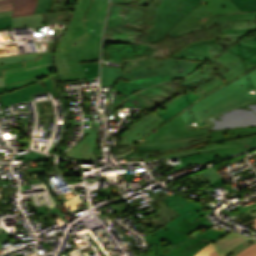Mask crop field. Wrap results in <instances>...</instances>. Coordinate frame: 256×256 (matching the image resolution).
<instances>
[{"label":"crop field","mask_w":256,"mask_h":256,"mask_svg":"<svg viewBox=\"0 0 256 256\" xmlns=\"http://www.w3.org/2000/svg\"><path fill=\"white\" fill-rule=\"evenodd\" d=\"M160 62L164 66L153 69H146L142 71L129 72L126 74H122L123 68L102 65L100 86H115L119 78L133 81L165 74H170L171 79L178 78L193 72L195 69L203 64L197 62H186L183 60H178L176 58H168Z\"/></svg>","instance_id":"e52e79f7"},{"label":"crop field","mask_w":256,"mask_h":256,"mask_svg":"<svg viewBox=\"0 0 256 256\" xmlns=\"http://www.w3.org/2000/svg\"><path fill=\"white\" fill-rule=\"evenodd\" d=\"M201 3L202 0H112L104 42L160 40Z\"/></svg>","instance_id":"ac0d7876"},{"label":"crop field","mask_w":256,"mask_h":256,"mask_svg":"<svg viewBox=\"0 0 256 256\" xmlns=\"http://www.w3.org/2000/svg\"><path fill=\"white\" fill-rule=\"evenodd\" d=\"M163 122H165V120L155 113L148 116L146 119L139 121L137 124L133 125L132 130L127 133L122 145L129 144V146H126L125 148L132 149L138 140L143 138L152 129L158 127ZM119 152L121 153L122 151Z\"/></svg>","instance_id":"cbeb9de0"},{"label":"crop field","mask_w":256,"mask_h":256,"mask_svg":"<svg viewBox=\"0 0 256 256\" xmlns=\"http://www.w3.org/2000/svg\"><path fill=\"white\" fill-rule=\"evenodd\" d=\"M36 81H39V79L35 78V79H32V80H28V81L8 84V85H6V87H0V93H4V91L14 90V89L19 88V87H24V86L29 85L31 83H34Z\"/></svg>","instance_id":"d32e631a"},{"label":"crop field","mask_w":256,"mask_h":256,"mask_svg":"<svg viewBox=\"0 0 256 256\" xmlns=\"http://www.w3.org/2000/svg\"><path fill=\"white\" fill-rule=\"evenodd\" d=\"M108 4L107 0H94L85 20L105 23Z\"/></svg>","instance_id":"92a150f3"},{"label":"crop field","mask_w":256,"mask_h":256,"mask_svg":"<svg viewBox=\"0 0 256 256\" xmlns=\"http://www.w3.org/2000/svg\"><path fill=\"white\" fill-rule=\"evenodd\" d=\"M184 81H186V80H184ZM177 82H180V80L174 81V83H177ZM182 85H184L183 88H186L188 86L187 82L184 84L182 83L181 86ZM188 89L185 90V91H187L186 94H183V95L175 98L173 101H171L170 103L167 104V106H166L167 111L163 112L158 109L155 111V113H157L158 115H160L163 119H165L167 121L168 119H170L173 116L180 113L182 110H184L186 107H188L195 100L201 98V97L197 96L195 93H193L192 91H188ZM189 97H191V99H189ZM179 106H181V107H179Z\"/></svg>","instance_id":"d9b57169"},{"label":"crop field","mask_w":256,"mask_h":256,"mask_svg":"<svg viewBox=\"0 0 256 256\" xmlns=\"http://www.w3.org/2000/svg\"><path fill=\"white\" fill-rule=\"evenodd\" d=\"M247 110H244L243 108ZM219 119L216 121V119ZM209 129L220 130L228 128H236L243 126L256 125V101L253 100L249 103L233 108L221 114L203 120ZM187 129H195L205 126H193L187 124Z\"/></svg>","instance_id":"3316defc"},{"label":"crop field","mask_w":256,"mask_h":256,"mask_svg":"<svg viewBox=\"0 0 256 256\" xmlns=\"http://www.w3.org/2000/svg\"><path fill=\"white\" fill-rule=\"evenodd\" d=\"M199 226L210 228L214 225L203 216L199 220H197L193 223H191L185 219L178 225L174 226L173 229H175L183 234L188 235L192 231H194L196 228H198Z\"/></svg>","instance_id":"a9b5d70f"},{"label":"crop field","mask_w":256,"mask_h":256,"mask_svg":"<svg viewBox=\"0 0 256 256\" xmlns=\"http://www.w3.org/2000/svg\"><path fill=\"white\" fill-rule=\"evenodd\" d=\"M12 6H13V3L0 5V12L10 11V10H12Z\"/></svg>","instance_id":"03da06ac"},{"label":"crop field","mask_w":256,"mask_h":256,"mask_svg":"<svg viewBox=\"0 0 256 256\" xmlns=\"http://www.w3.org/2000/svg\"><path fill=\"white\" fill-rule=\"evenodd\" d=\"M249 216H250L251 218L255 217V216H256V212L249 214Z\"/></svg>","instance_id":"d23c7cc5"},{"label":"crop field","mask_w":256,"mask_h":256,"mask_svg":"<svg viewBox=\"0 0 256 256\" xmlns=\"http://www.w3.org/2000/svg\"><path fill=\"white\" fill-rule=\"evenodd\" d=\"M209 133L211 138L201 139L191 141V144L200 143L204 141L210 140L211 142L225 140L235 137H241L251 134H256V127H248V128H240V129H232V130H223V131H213L208 132V129H200V130H190L186 131L180 116H177L167 123L163 124L159 128L153 130L147 137H145L142 141H156V140H172L185 138L195 135H201Z\"/></svg>","instance_id":"d8731c3e"},{"label":"crop field","mask_w":256,"mask_h":256,"mask_svg":"<svg viewBox=\"0 0 256 256\" xmlns=\"http://www.w3.org/2000/svg\"><path fill=\"white\" fill-rule=\"evenodd\" d=\"M85 23L86 32L102 36L105 24L88 21H85ZM91 29H93L94 31H92Z\"/></svg>","instance_id":"1d83c4d3"},{"label":"crop field","mask_w":256,"mask_h":256,"mask_svg":"<svg viewBox=\"0 0 256 256\" xmlns=\"http://www.w3.org/2000/svg\"><path fill=\"white\" fill-rule=\"evenodd\" d=\"M256 242V239H253L251 241H248L246 243H243L241 245H239L238 247H236L234 250L230 251V253L227 256H235L236 254H238L242 249L248 247L249 245L253 244Z\"/></svg>","instance_id":"e1f06a70"},{"label":"crop field","mask_w":256,"mask_h":256,"mask_svg":"<svg viewBox=\"0 0 256 256\" xmlns=\"http://www.w3.org/2000/svg\"><path fill=\"white\" fill-rule=\"evenodd\" d=\"M241 12L256 10V0H231Z\"/></svg>","instance_id":"750c4746"},{"label":"crop field","mask_w":256,"mask_h":256,"mask_svg":"<svg viewBox=\"0 0 256 256\" xmlns=\"http://www.w3.org/2000/svg\"><path fill=\"white\" fill-rule=\"evenodd\" d=\"M189 200H186L183 196H179L177 194L170 195L163 203L170 206L172 209L177 211L179 208L188 203Z\"/></svg>","instance_id":"d3111659"},{"label":"crop field","mask_w":256,"mask_h":256,"mask_svg":"<svg viewBox=\"0 0 256 256\" xmlns=\"http://www.w3.org/2000/svg\"><path fill=\"white\" fill-rule=\"evenodd\" d=\"M254 223V224H252ZM249 227L253 228V229H256V219L253 220V221H250L248 223H246Z\"/></svg>","instance_id":"5d738f31"},{"label":"crop field","mask_w":256,"mask_h":256,"mask_svg":"<svg viewBox=\"0 0 256 256\" xmlns=\"http://www.w3.org/2000/svg\"><path fill=\"white\" fill-rule=\"evenodd\" d=\"M135 64L133 65L132 63ZM134 62H127L124 65V70L123 73L129 72V71H136V70H142L146 68H152V67H158L162 66L158 60L155 58H149L145 60H139V61H134Z\"/></svg>","instance_id":"730fd06b"},{"label":"crop field","mask_w":256,"mask_h":256,"mask_svg":"<svg viewBox=\"0 0 256 256\" xmlns=\"http://www.w3.org/2000/svg\"><path fill=\"white\" fill-rule=\"evenodd\" d=\"M24 66L23 62L0 64V77H3L2 70Z\"/></svg>","instance_id":"b80d0937"},{"label":"crop field","mask_w":256,"mask_h":256,"mask_svg":"<svg viewBox=\"0 0 256 256\" xmlns=\"http://www.w3.org/2000/svg\"><path fill=\"white\" fill-rule=\"evenodd\" d=\"M216 185L224 186L228 191L226 194L233 192V190L227 185V183L222 178L219 179L218 181L214 182L213 184H211V186H213V187H215Z\"/></svg>","instance_id":"c21b1889"},{"label":"crop field","mask_w":256,"mask_h":256,"mask_svg":"<svg viewBox=\"0 0 256 256\" xmlns=\"http://www.w3.org/2000/svg\"><path fill=\"white\" fill-rule=\"evenodd\" d=\"M0 241H8V233L0 234Z\"/></svg>","instance_id":"b54c1fbb"},{"label":"crop field","mask_w":256,"mask_h":256,"mask_svg":"<svg viewBox=\"0 0 256 256\" xmlns=\"http://www.w3.org/2000/svg\"><path fill=\"white\" fill-rule=\"evenodd\" d=\"M93 0H78L70 24L85 26L84 18Z\"/></svg>","instance_id":"00972430"},{"label":"crop field","mask_w":256,"mask_h":256,"mask_svg":"<svg viewBox=\"0 0 256 256\" xmlns=\"http://www.w3.org/2000/svg\"><path fill=\"white\" fill-rule=\"evenodd\" d=\"M250 239L252 238H246L242 235L231 232L228 235H226L224 238H222L221 240L213 244L216 247L219 256H225L229 253L231 249L235 248L239 244L246 242Z\"/></svg>","instance_id":"bc2a9ffb"},{"label":"crop field","mask_w":256,"mask_h":256,"mask_svg":"<svg viewBox=\"0 0 256 256\" xmlns=\"http://www.w3.org/2000/svg\"><path fill=\"white\" fill-rule=\"evenodd\" d=\"M14 2L12 17L33 14L37 6V0H0V4Z\"/></svg>","instance_id":"dafd665d"},{"label":"crop field","mask_w":256,"mask_h":256,"mask_svg":"<svg viewBox=\"0 0 256 256\" xmlns=\"http://www.w3.org/2000/svg\"><path fill=\"white\" fill-rule=\"evenodd\" d=\"M209 256H218L217 252L214 251ZM236 256H256V243L249 246L248 248L242 250L238 255Z\"/></svg>","instance_id":"028f5c9d"},{"label":"crop field","mask_w":256,"mask_h":256,"mask_svg":"<svg viewBox=\"0 0 256 256\" xmlns=\"http://www.w3.org/2000/svg\"><path fill=\"white\" fill-rule=\"evenodd\" d=\"M211 231H213V230H212V229L207 230L206 232H204L203 234H201L200 236H198L197 238H195L193 241H191V242L185 244L184 246L178 248L177 250H175V251L169 253V255L171 256V255L175 254V253L178 252L179 250H181V249L185 248L186 246L190 245L191 243L197 241L198 239L202 238L203 236H205L206 234L210 233Z\"/></svg>","instance_id":"c035e120"},{"label":"crop field","mask_w":256,"mask_h":256,"mask_svg":"<svg viewBox=\"0 0 256 256\" xmlns=\"http://www.w3.org/2000/svg\"><path fill=\"white\" fill-rule=\"evenodd\" d=\"M209 137L208 134L172 141L141 142L138 151L158 150L151 155L175 158L185 155L215 151L219 159L256 146V135L214 142L210 146L189 144L190 140Z\"/></svg>","instance_id":"f4fd0767"},{"label":"crop field","mask_w":256,"mask_h":256,"mask_svg":"<svg viewBox=\"0 0 256 256\" xmlns=\"http://www.w3.org/2000/svg\"><path fill=\"white\" fill-rule=\"evenodd\" d=\"M87 78L98 77L99 63L81 64Z\"/></svg>","instance_id":"bd1437ed"},{"label":"crop field","mask_w":256,"mask_h":256,"mask_svg":"<svg viewBox=\"0 0 256 256\" xmlns=\"http://www.w3.org/2000/svg\"><path fill=\"white\" fill-rule=\"evenodd\" d=\"M114 90L122 94L115 97L113 108L143 106L155 109L180 93L169 75L133 82L119 79Z\"/></svg>","instance_id":"412701ff"},{"label":"crop field","mask_w":256,"mask_h":256,"mask_svg":"<svg viewBox=\"0 0 256 256\" xmlns=\"http://www.w3.org/2000/svg\"><path fill=\"white\" fill-rule=\"evenodd\" d=\"M209 212H211V211L208 210L207 208H205L204 206H202L201 204H199L198 202L192 200L187 205H185L184 207H182L181 209H179L177 211V213H179L181 216L170 221L168 224H166V226L171 228L174 225H176L177 223L184 220L185 218L192 222V221L200 218L202 215H205Z\"/></svg>","instance_id":"4a817a6b"},{"label":"crop field","mask_w":256,"mask_h":256,"mask_svg":"<svg viewBox=\"0 0 256 256\" xmlns=\"http://www.w3.org/2000/svg\"><path fill=\"white\" fill-rule=\"evenodd\" d=\"M137 50H142V52H146V51L147 52H149V51L152 52L151 49L146 48L145 45H141V44L137 45V46L136 45H131L130 47H128V46H119V47H115L113 50H110L109 52H110L111 56L116 57L115 61L124 62L126 59H128V56H130V55H128L129 52L137 51ZM152 53H154L155 55L170 54L169 51L164 52L162 50V48H161V51H156V52H152ZM104 54H105V52H103V59L106 60L105 57H104Z\"/></svg>","instance_id":"214f88e0"},{"label":"crop field","mask_w":256,"mask_h":256,"mask_svg":"<svg viewBox=\"0 0 256 256\" xmlns=\"http://www.w3.org/2000/svg\"><path fill=\"white\" fill-rule=\"evenodd\" d=\"M182 162L183 166L186 165H192L197 163H209L215 160H218V157L216 156L215 152L213 154L201 156L200 154L197 155H191V156H185L179 158Z\"/></svg>","instance_id":"ae1a2a85"},{"label":"crop field","mask_w":256,"mask_h":256,"mask_svg":"<svg viewBox=\"0 0 256 256\" xmlns=\"http://www.w3.org/2000/svg\"><path fill=\"white\" fill-rule=\"evenodd\" d=\"M96 131L90 133L80 143L72 147L66 154L65 157H70L78 160L94 161L95 154L93 149L96 146Z\"/></svg>","instance_id":"733c2abd"},{"label":"crop field","mask_w":256,"mask_h":256,"mask_svg":"<svg viewBox=\"0 0 256 256\" xmlns=\"http://www.w3.org/2000/svg\"><path fill=\"white\" fill-rule=\"evenodd\" d=\"M253 87L256 88V69L238 81L210 94L180 115L185 124L198 120V125H205L202 119L256 97L254 94L246 93Z\"/></svg>","instance_id":"dd49c442"},{"label":"crop field","mask_w":256,"mask_h":256,"mask_svg":"<svg viewBox=\"0 0 256 256\" xmlns=\"http://www.w3.org/2000/svg\"><path fill=\"white\" fill-rule=\"evenodd\" d=\"M52 1L53 0H38V6L35 14L48 12L52 6Z\"/></svg>","instance_id":"5866460e"},{"label":"crop field","mask_w":256,"mask_h":256,"mask_svg":"<svg viewBox=\"0 0 256 256\" xmlns=\"http://www.w3.org/2000/svg\"><path fill=\"white\" fill-rule=\"evenodd\" d=\"M43 17L42 14L27 15L21 17L12 18V27L19 26H42Z\"/></svg>","instance_id":"eef30255"},{"label":"crop field","mask_w":256,"mask_h":256,"mask_svg":"<svg viewBox=\"0 0 256 256\" xmlns=\"http://www.w3.org/2000/svg\"><path fill=\"white\" fill-rule=\"evenodd\" d=\"M224 231L215 230L208 234L207 236L203 237L202 239L198 240L197 242L191 244L190 246L186 247L185 249L179 251L173 256H193L197 253L203 246L211 243L216 238L221 236ZM192 239L178 245L177 247L173 248L172 250L162 254V245H147V256H169L168 253L177 249L178 247L184 245L185 243L191 241Z\"/></svg>","instance_id":"22f410ed"},{"label":"crop field","mask_w":256,"mask_h":256,"mask_svg":"<svg viewBox=\"0 0 256 256\" xmlns=\"http://www.w3.org/2000/svg\"><path fill=\"white\" fill-rule=\"evenodd\" d=\"M53 53L40 55H26L0 58V63L24 61L25 67L3 71L4 78H0V86L5 84L32 79L56 71L53 65Z\"/></svg>","instance_id":"5a996713"},{"label":"crop field","mask_w":256,"mask_h":256,"mask_svg":"<svg viewBox=\"0 0 256 256\" xmlns=\"http://www.w3.org/2000/svg\"><path fill=\"white\" fill-rule=\"evenodd\" d=\"M215 249L213 244H209L208 246L203 247L201 251H199L197 254L194 256H208L210 253H212Z\"/></svg>","instance_id":"0bd39190"},{"label":"crop field","mask_w":256,"mask_h":256,"mask_svg":"<svg viewBox=\"0 0 256 256\" xmlns=\"http://www.w3.org/2000/svg\"><path fill=\"white\" fill-rule=\"evenodd\" d=\"M145 238L148 244H163V253L189 239L186 235L165 226L145 236Z\"/></svg>","instance_id":"5142ce71"},{"label":"crop field","mask_w":256,"mask_h":256,"mask_svg":"<svg viewBox=\"0 0 256 256\" xmlns=\"http://www.w3.org/2000/svg\"><path fill=\"white\" fill-rule=\"evenodd\" d=\"M205 3L198 6L193 12L187 15L174 29L170 32L183 30L202 16L209 13V15L240 13V10L230 0H203ZM169 33V34H170Z\"/></svg>","instance_id":"28ad6ade"},{"label":"crop field","mask_w":256,"mask_h":256,"mask_svg":"<svg viewBox=\"0 0 256 256\" xmlns=\"http://www.w3.org/2000/svg\"><path fill=\"white\" fill-rule=\"evenodd\" d=\"M102 37L85 33V27L68 24L54 55L61 81L86 78L79 61L99 60Z\"/></svg>","instance_id":"34b2d1b8"},{"label":"crop field","mask_w":256,"mask_h":256,"mask_svg":"<svg viewBox=\"0 0 256 256\" xmlns=\"http://www.w3.org/2000/svg\"><path fill=\"white\" fill-rule=\"evenodd\" d=\"M215 23L230 26L221 31L226 34L223 36V40L219 41L226 49L185 77L191 90L196 88L192 82L200 84L195 91L201 97L256 67V36L242 42L237 41L245 34L256 30V12L213 17L206 15L193 26L170 35L180 36L192 31L207 29Z\"/></svg>","instance_id":"8a807250"},{"label":"crop field","mask_w":256,"mask_h":256,"mask_svg":"<svg viewBox=\"0 0 256 256\" xmlns=\"http://www.w3.org/2000/svg\"><path fill=\"white\" fill-rule=\"evenodd\" d=\"M222 50H224V48L219 44V42H217L215 39H208L189 44L175 54L174 57L205 60L211 59L215 55L219 54Z\"/></svg>","instance_id":"d1516ede"},{"label":"crop field","mask_w":256,"mask_h":256,"mask_svg":"<svg viewBox=\"0 0 256 256\" xmlns=\"http://www.w3.org/2000/svg\"><path fill=\"white\" fill-rule=\"evenodd\" d=\"M190 181H192L195 185L203 183V182H209L210 184L214 181L218 180L220 175L215 171L213 167L209 169H205L197 174H194L190 177H187Z\"/></svg>","instance_id":"4177f3b9"},{"label":"crop field","mask_w":256,"mask_h":256,"mask_svg":"<svg viewBox=\"0 0 256 256\" xmlns=\"http://www.w3.org/2000/svg\"><path fill=\"white\" fill-rule=\"evenodd\" d=\"M139 256H145V253L144 254H140Z\"/></svg>","instance_id":"425ffa30"},{"label":"crop field","mask_w":256,"mask_h":256,"mask_svg":"<svg viewBox=\"0 0 256 256\" xmlns=\"http://www.w3.org/2000/svg\"><path fill=\"white\" fill-rule=\"evenodd\" d=\"M154 213L158 214L159 216L163 217L164 219H166L168 221L179 216V214H177L175 211H173L171 208H169L166 205Z\"/></svg>","instance_id":"120bbe31"}]
</instances>
